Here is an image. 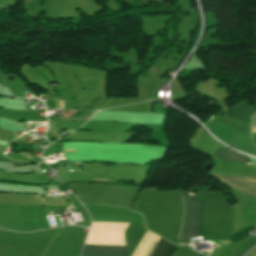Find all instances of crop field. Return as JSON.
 I'll use <instances>...</instances> for the list:
<instances>
[{
  "label": "crop field",
  "mask_w": 256,
  "mask_h": 256,
  "mask_svg": "<svg viewBox=\"0 0 256 256\" xmlns=\"http://www.w3.org/2000/svg\"><path fill=\"white\" fill-rule=\"evenodd\" d=\"M184 220L180 233L181 244H190V239L200 238L203 202L182 192Z\"/></svg>",
  "instance_id": "1"
},
{
  "label": "crop field",
  "mask_w": 256,
  "mask_h": 256,
  "mask_svg": "<svg viewBox=\"0 0 256 256\" xmlns=\"http://www.w3.org/2000/svg\"><path fill=\"white\" fill-rule=\"evenodd\" d=\"M211 175L238 191L256 197V178L230 177L214 173Z\"/></svg>",
  "instance_id": "2"
},
{
  "label": "crop field",
  "mask_w": 256,
  "mask_h": 256,
  "mask_svg": "<svg viewBox=\"0 0 256 256\" xmlns=\"http://www.w3.org/2000/svg\"><path fill=\"white\" fill-rule=\"evenodd\" d=\"M81 256H127L126 246L85 245Z\"/></svg>",
  "instance_id": "3"
},
{
  "label": "crop field",
  "mask_w": 256,
  "mask_h": 256,
  "mask_svg": "<svg viewBox=\"0 0 256 256\" xmlns=\"http://www.w3.org/2000/svg\"><path fill=\"white\" fill-rule=\"evenodd\" d=\"M211 155L219 157V158H223L232 162H237V163H243L246 164V162H250V159L244 155H241L239 153H236L234 151L228 150L224 147H220L218 148L214 153H212ZM249 164V163H247Z\"/></svg>",
  "instance_id": "4"
},
{
  "label": "crop field",
  "mask_w": 256,
  "mask_h": 256,
  "mask_svg": "<svg viewBox=\"0 0 256 256\" xmlns=\"http://www.w3.org/2000/svg\"><path fill=\"white\" fill-rule=\"evenodd\" d=\"M177 247L161 238L150 256H170Z\"/></svg>",
  "instance_id": "5"
},
{
  "label": "crop field",
  "mask_w": 256,
  "mask_h": 256,
  "mask_svg": "<svg viewBox=\"0 0 256 256\" xmlns=\"http://www.w3.org/2000/svg\"><path fill=\"white\" fill-rule=\"evenodd\" d=\"M61 108H64L63 100L60 101Z\"/></svg>",
  "instance_id": "6"
},
{
  "label": "crop field",
  "mask_w": 256,
  "mask_h": 256,
  "mask_svg": "<svg viewBox=\"0 0 256 256\" xmlns=\"http://www.w3.org/2000/svg\"><path fill=\"white\" fill-rule=\"evenodd\" d=\"M64 152H76V151H64Z\"/></svg>",
  "instance_id": "7"
}]
</instances>
